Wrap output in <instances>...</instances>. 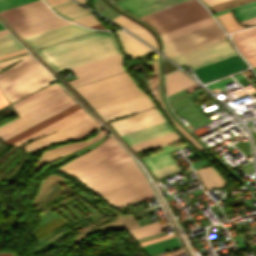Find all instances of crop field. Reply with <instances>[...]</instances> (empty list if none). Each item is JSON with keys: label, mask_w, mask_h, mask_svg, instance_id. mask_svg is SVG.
<instances>
[{"label": "crop field", "mask_w": 256, "mask_h": 256, "mask_svg": "<svg viewBox=\"0 0 256 256\" xmlns=\"http://www.w3.org/2000/svg\"><path fill=\"white\" fill-rule=\"evenodd\" d=\"M75 177L119 208L153 196L130 156Z\"/></svg>", "instance_id": "crop-field-1"}, {"label": "crop field", "mask_w": 256, "mask_h": 256, "mask_svg": "<svg viewBox=\"0 0 256 256\" xmlns=\"http://www.w3.org/2000/svg\"><path fill=\"white\" fill-rule=\"evenodd\" d=\"M126 156H129V154L110 136L94 150L56 170L74 176Z\"/></svg>", "instance_id": "crop-field-8"}, {"label": "crop field", "mask_w": 256, "mask_h": 256, "mask_svg": "<svg viewBox=\"0 0 256 256\" xmlns=\"http://www.w3.org/2000/svg\"><path fill=\"white\" fill-rule=\"evenodd\" d=\"M85 199L86 202L91 203L89 200L92 199L89 195L83 197ZM79 204L81 206H83L84 208H86L88 211H90L91 213L96 211L94 209H92L90 206H88L86 203H84L80 198L77 199ZM72 204H74L76 207H78L82 212H84L86 215L88 214L84 209H82L75 201L72 202ZM96 206L98 209L103 208L99 203L94 205ZM65 207H67L69 209V211L77 218H81L83 217V215H81L79 212H77L70 204L65 205ZM57 211H59L64 217H66L67 219L74 221V219L70 216V214L63 210L62 208L58 209Z\"/></svg>", "instance_id": "crop-field-28"}, {"label": "crop field", "mask_w": 256, "mask_h": 256, "mask_svg": "<svg viewBox=\"0 0 256 256\" xmlns=\"http://www.w3.org/2000/svg\"><path fill=\"white\" fill-rule=\"evenodd\" d=\"M112 21H114L115 23L119 24L120 26L128 29L129 31L135 33L136 35H138L139 37H141L142 39L147 41L149 44L154 46L156 49H158L155 38L146 29L137 25L133 21L127 19L126 17H124L122 15Z\"/></svg>", "instance_id": "crop-field-24"}, {"label": "crop field", "mask_w": 256, "mask_h": 256, "mask_svg": "<svg viewBox=\"0 0 256 256\" xmlns=\"http://www.w3.org/2000/svg\"><path fill=\"white\" fill-rule=\"evenodd\" d=\"M88 224H89L88 222H84V223L80 224L79 226H77V227H75L73 229L77 230V229L82 228V227H84V226H86Z\"/></svg>", "instance_id": "crop-field-49"}, {"label": "crop field", "mask_w": 256, "mask_h": 256, "mask_svg": "<svg viewBox=\"0 0 256 256\" xmlns=\"http://www.w3.org/2000/svg\"><path fill=\"white\" fill-rule=\"evenodd\" d=\"M33 0H0V11L21 5Z\"/></svg>", "instance_id": "crop-field-35"}, {"label": "crop field", "mask_w": 256, "mask_h": 256, "mask_svg": "<svg viewBox=\"0 0 256 256\" xmlns=\"http://www.w3.org/2000/svg\"><path fill=\"white\" fill-rule=\"evenodd\" d=\"M126 56L132 60L151 50L132 36L116 31Z\"/></svg>", "instance_id": "crop-field-21"}, {"label": "crop field", "mask_w": 256, "mask_h": 256, "mask_svg": "<svg viewBox=\"0 0 256 256\" xmlns=\"http://www.w3.org/2000/svg\"><path fill=\"white\" fill-rule=\"evenodd\" d=\"M112 219H114V218H113V217H110V218H108V219H106V220H101V221H99V222L96 223V224H97V226H99V225H101V224H103V223H105V222H107V221L112 220Z\"/></svg>", "instance_id": "crop-field-47"}, {"label": "crop field", "mask_w": 256, "mask_h": 256, "mask_svg": "<svg viewBox=\"0 0 256 256\" xmlns=\"http://www.w3.org/2000/svg\"><path fill=\"white\" fill-rule=\"evenodd\" d=\"M8 149V147H4L0 150V157L3 155V153Z\"/></svg>", "instance_id": "crop-field-50"}, {"label": "crop field", "mask_w": 256, "mask_h": 256, "mask_svg": "<svg viewBox=\"0 0 256 256\" xmlns=\"http://www.w3.org/2000/svg\"><path fill=\"white\" fill-rule=\"evenodd\" d=\"M207 17H210L207 10L196 0H190L141 19L150 23L161 34Z\"/></svg>", "instance_id": "crop-field-7"}, {"label": "crop field", "mask_w": 256, "mask_h": 256, "mask_svg": "<svg viewBox=\"0 0 256 256\" xmlns=\"http://www.w3.org/2000/svg\"><path fill=\"white\" fill-rule=\"evenodd\" d=\"M236 55L227 37L175 55L172 58L180 66L189 64L192 70Z\"/></svg>", "instance_id": "crop-field-9"}, {"label": "crop field", "mask_w": 256, "mask_h": 256, "mask_svg": "<svg viewBox=\"0 0 256 256\" xmlns=\"http://www.w3.org/2000/svg\"><path fill=\"white\" fill-rule=\"evenodd\" d=\"M62 89L56 82L50 84L49 86L31 94L30 96L12 104V107L15 109V111H19L37 101L40 99Z\"/></svg>", "instance_id": "crop-field-22"}, {"label": "crop field", "mask_w": 256, "mask_h": 256, "mask_svg": "<svg viewBox=\"0 0 256 256\" xmlns=\"http://www.w3.org/2000/svg\"><path fill=\"white\" fill-rule=\"evenodd\" d=\"M225 37L216 23L164 41L165 55L170 57Z\"/></svg>", "instance_id": "crop-field-11"}, {"label": "crop field", "mask_w": 256, "mask_h": 256, "mask_svg": "<svg viewBox=\"0 0 256 256\" xmlns=\"http://www.w3.org/2000/svg\"><path fill=\"white\" fill-rule=\"evenodd\" d=\"M87 218H88V217H83V218H81V219H79L78 221H76V222H74V223L68 225L67 227H65V228H63V229L66 230V229H68V228L74 226V225L77 224V223H80V222H83V221L87 220Z\"/></svg>", "instance_id": "crop-field-44"}, {"label": "crop field", "mask_w": 256, "mask_h": 256, "mask_svg": "<svg viewBox=\"0 0 256 256\" xmlns=\"http://www.w3.org/2000/svg\"><path fill=\"white\" fill-rule=\"evenodd\" d=\"M67 224H68V222L65 219L59 217L41 227H39L36 231H34L33 236H34V238L38 239V238L45 236V235L65 226Z\"/></svg>", "instance_id": "crop-field-30"}, {"label": "crop field", "mask_w": 256, "mask_h": 256, "mask_svg": "<svg viewBox=\"0 0 256 256\" xmlns=\"http://www.w3.org/2000/svg\"><path fill=\"white\" fill-rule=\"evenodd\" d=\"M79 108H81V107L77 104V105H75V106H73V107H71V108H69V109H67V110H65V111H63V112H61V113H59V114H57V115H55V116L45 120L43 122H41L40 124H38V125L30 128V129L22 132V133H20V134H18L16 136H14V137L4 141V142H6V143L11 145L12 143H14V142H16V141H18V140L28 136L29 134H31V133H33V132H35V131L43 128V127H45L46 125H48V124H50V123H52V122H54V121L64 117L65 115H67V114H69V113H71V112H73V111H75V110H77Z\"/></svg>", "instance_id": "crop-field-27"}, {"label": "crop field", "mask_w": 256, "mask_h": 256, "mask_svg": "<svg viewBox=\"0 0 256 256\" xmlns=\"http://www.w3.org/2000/svg\"><path fill=\"white\" fill-rule=\"evenodd\" d=\"M170 132H173V130L166 122H164L138 131L121 135V137L129 146H131Z\"/></svg>", "instance_id": "crop-field-18"}, {"label": "crop field", "mask_w": 256, "mask_h": 256, "mask_svg": "<svg viewBox=\"0 0 256 256\" xmlns=\"http://www.w3.org/2000/svg\"><path fill=\"white\" fill-rule=\"evenodd\" d=\"M70 232H71V231L68 230V231H66V232H64V233H62V234H60V235H58V236H56V237H57V239H59V238L65 236V235H67V234L70 233ZM46 244L48 245L49 248H51V247L56 246V241H55V239L53 238V239L49 240L48 242H46ZM40 248H41V249H44L45 247H44V245L42 244V245L40 246Z\"/></svg>", "instance_id": "crop-field-38"}, {"label": "crop field", "mask_w": 256, "mask_h": 256, "mask_svg": "<svg viewBox=\"0 0 256 256\" xmlns=\"http://www.w3.org/2000/svg\"><path fill=\"white\" fill-rule=\"evenodd\" d=\"M255 72H256V70H255Z\"/></svg>", "instance_id": "crop-field-56"}, {"label": "crop field", "mask_w": 256, "mask_h": 256, "mask_svg": "<svg viewBox=\"0 0 256 256\" xmlns=\"http://www.w3.org/2000/svg\"><path fill=\"white\" fill-rule=\"evenodd\" d=\"M75 89L95 110L144 95L126 72L78 86Z\"/></svg>", "instance_id": "crop-field-5"}, {"label": "crop field", "mask_w": 256, "mask_h": 256, "mask_svg": "<svg viewBox=\"0 0 256 256\" xmlns=\"http://www.w3.org/2000/svg\"><path fill=\"white\" fill-rule=\"evenodd\" d=\"M98 126L99 124L88 115L49 136L30 142L23 149L35 153L42 148L67 140L84 138L97 131Z\"/></svg>", "instance_id": "crop-field-10"}, {"label": "crop field", "mask_w": 256, "mask_h": 256, "mask_svg": "<svg viewBox=\"0 0 256 256\" xmlns=\"http://www.w3.org/2000/svg\"><path fill=\"white\" fill-rule=\"evenodd\" d=\"M248 61L252 64L253 67L256 66V57L252 58V59H249Z\"/></svg>", "instance_id": "crop-field-48"}, {"label": "crop field", "mask_w": 256, "mask_h": 256, "mask_svg": "<svg viewBox=\"0 0 256 256\" xmlns=\"http://www.w3.org/2000/svg\"><path fill=\"white\" fill-rule=\"evenodd\" d=\"M232 38L247 59L256 56V27L232 34Z\"/></svg>", "instance_id": "crop-field-19"}, {"label": "crop field", "mask_w": 256, "mask_h": 256, "mask_svg": "<svg viewBox=\"0 0 256 256\" xmlns=\"http://www.w3.org/2000/svg\"><path fill=\"white\" fill-rule=\"evenodd\" d=\"M233 9H235L234 13L236 14L237 18L240 21L256 16V2H252V3L246 4V5H242V6L233 8ZM233 9H229V10H226V11H223V12L216 13V15L231 11Z\"/></svg>", "instance_id": "crop-field-31"}, {"label": "crop field", "mask_w": 256, "mask_h": 256, "mask_svg": "<svg viewBox=\"0 0 256 256\" xmlns=\"http://www.w3.org/2000/svg\"><path fill=\"white\" fill-rule=\"evenodd\" d=\"M73 21H76V22H78L80 24L87 25V26H92V25L100 24V22H98L93 17V15L87 16V17H84V18H80V19H77V20H73Z\"/></svg>", "instance_id": "crop-field-37"}, {"label": "crop field", "mask_w": 256, "mask_h": 256, "mask_svg": "<svg viewBox=\"0 0 256 256\" xmlns=\"http://www.w3.org/2000/svg\"><path fill=\"white\" fill-rule=\"evenodd\" d=\"M4 173L0 174V176H2Z\"/></svg>", "instance_id": "crop-field-55"}, {"label": "crop field", "mask_w": 256, "mask_h": 256, "mask_svg": "<svg viewBox=\"0 0 256 256\" xmlns=\"http://www.w3.org/2000/svg\"><path fill=\"white\" fill-rule=\"evenodd\" d=\"M214 22H215V21L213 20V18L210 17V18L204 19V20H202V21H199V22H196V23L187 25V26H185V27H182V28H179V29L170 31V32H168V33L162 34L161 37H162V39H163V41H164V40H167V39H169V38H172V37L181 35V34H183V33H186V32L192 31V30H195V29H197V28H200V27L209 25V24L214 23Z\"/></svg>", "instance_id": "crop-field-29"}, {"label": "crop field", "mask_w": 256, "mask_h": 256, "mask_svg": "<svg viewBox=\"0 0 256 256\" xmlns=\"http://www.w3.org/2000/svg\"><path fill=\"white\" fill-rule=\"evenodd\" d=\"M50 6L55 5V4H59L65 1H69V0H46Z\"/></svg>", "instance_id": "crop-field-42"}, {"label": "crop field", "mask_w": 256, "mask_h": 256, "mask_svg": "<svg viewBox=\"0 0 256 256\" xmlns=\"http://www.w3.org/2000/svg\"><path fill=\"white\" fill-rule=\"evenodd\" d=\"M119 63V64H117ZM122 55L116 54L81 66L71 68L78 79L69 81L75 87L117 73L124 72L121 68Z\"/></svg>", "instance_id": "crop-field-12"}, {"label": "crop field", "mask_w": 256, "mask_h": 256, "mask_svg": "<svg viewBox=\"0 0 256 256\" xmlns=\"http://www.w3.org/2000/svg\"><path fill=\"white\" fill-rule=\"evenodd\" d=\"M193 83L195 82L192 79H190L180 71H175L173 73L167 74L166 75L167 96Z\"/></svg>", "instance_id": "crop-field-23"}, {"label": "crop field", "mask_w": 256, "mask_h": 256, "mask_svg": "<svg viewBox=\"0 0 256 256\" xmlns=\"http://www.w3.org/2000/svg\"><path fill=\"white\" fill-rule=\"evenodd\" d=\"M24 49V47L11 35L0 37V55Z\"/></svg>", "instance_id": "crop-field-32"}, {"label": "crop field", "mask_w": 256, "mask_h": 256, "mask_svg": "<svg viewBox=\"0 0 256 256\" xmlns=\"http://www.w3.org/2000/svg\"><path fill=\"white\" fill-rule=\"evenodd\" d=\"M0 15L23 38L71 24L54 15L41 0L2 11Z\"/></svg>", "instance_id": "crop-field-4"}, {"label": "crop field", "mask_w": 256, "mask_h": 256, "mask_svg": "<svg viewBox=\"0 0 256 256\" xmlns=\"http://www.w3.org/2000/svg\"><path fill=\"white\" fill-rule=\"evenodd\" d=\"M184 147H188V145L185 144L167 151H163V152L142 158V160L145 162V164L150 170L159 168V167L174 163V160L172 159V157L168 152L174 151L180 148H184Z\"/></svg>", "instance_id": "crop-field-26"}, {"label": "crop field", "mask_w": 256, "mask_h": 256, "mask_svg": "<svg viewBox=\"0 0 256 256\" xmlns=\"http://www.w3.org/2000/svg\"><path fill=\"white\" fill-rule=\"evenodd\" d=\"M86 115L88 114L81 108L13 145H16L19 147L20 145L24 144L25 142H27L28 140L34 137L51 134Z\"/></svg>", "instance_id": "crop-field-20"}, {"label": "crop field", "mask_w": 256, "mask_h": 256, "mask_svg": "<svg viewBox=\"0 0 256 256\" xmlns=\"http://www.w3.org/2000/svg\"><path fill=\"white\" fill-rule=\"evenodd\" d=\"M175 236H176L175 233L169 234V235H166V236H163V237H159V238H156V239H153V240H149V241H146V242H143V243H139V246L144 245V244H148V243H151V242H155V241L175 237Z\"/></svg>", "instance_id": "crop-field-39"}, {"label": "crop field", "mask_w": 256, "mask_h": 256, "mask_svg": "<svg viewBox=\"0 0 256 256\" xmlns=\"http://www.w3.org/2000/svg\"><path fill=\"white\" fill-rule=\"evenodd\" d=\"M37 52L57 71L119 53L111 34L94 33Z\"/></svg>", "instance_id": "crop-field-2"}, {"label": "crop field", "mask_w": 256, "mask_h": 256, "mask_svg": "<svg viewBox=\"0 0 256 256\" xmlns=\"http://www.w3.org/2000/svg\"><path fill=\"white\" fill-rule=\"evenodd\" d=\"M25 51H26V49H24V50H20V51H16V52H13V53H9V54H5V55L0 56V59H2V58H6V57H10V56H13V55H16V54H19V53L25 52Z\"/></svg>", "instance_id": "crop-field-40"}, {"label": "crop field", "mask_w": 256, "mask_h": 256, "mask_svg": "<svg viewBox=\"0 0 256 256\" xmlns=\"http://www.w3.org/2000/svg\"><path fill=\"white\" fill-rule=\"evenodd\" d=\"M242 23L247 24L249 26L254 25V24H256V17L252 18V19H249V20L242 21Z\"/></svg>", "instance_id": "crop-field-41"}, {"label": "crop field", "mask_w": 256, "mask_h": 256, "mask_svg": "<svg viewBox=\"0 0 256 256\" xmlns=\"http://www.w3.org/2000/svg\"><path fill=\"white\" fill-rule=\"evenodd\" d=\"M177 163L152 171L157 179L179 170Z\"/></svg>", "instance_id": "crop-field-34"}, {"label": "crop field", "mask_w": 256, "mask_h": 256, "mask_svg": "<svg viewBox=\"0 0 256 256\" xmlns=\"http://www.w3.org/2000/svg\"><path fill=\"white\" fill-rule=\"evenodd\" d=\"M164 122L156 108L135 114L129 118L110 122L115 131L121 135L147 126Z\"/></svg>", "instance_id": "crop-field-14"}, {"label": "crop field", "mask_w": 256, "mask_h": 256, "mask_svg": "<svg viewBox=\"0 0 256 256\" xmlns=\"http://www.w3.org/2000/svg\"><path fill=\"white\" fill-rule=\"evenodd\" d=\"M59 199H61L59 196L56 197V198H54V199H52V200L49 201L47 204H45V205H43L42 207L38 208V209H37V212L40 211L41 209L45 208V207L48 206L49 204H51V203H53V202L59 200ZM49 206H50V205H49Z\"/></svg>", "instance_id": "crop-field-43"}, {"label": "crop field", "mask_w": 256, "mask_h": 256, "mask_svg": "<svg viewBox=\"0 0 256 256\" xmlns=\"http://www.w3.org/2000/svg\"><path fill=\"white\" fill-rule=\"evenodd\" d=\"M78 1H80V2H82V3H86V1H85V0H78Z\"/></svg>", "instance_id": "crop-field-53"}, {"label": "crop field", "mask_w": 256, "mask_h": 256, "mask_svg": "<svg viewBox=\"0 0 256 256\" xmlns=\"http://www.w3.org/2000/svg\"><path fill=\"white\" fill-rule=\"evenodd\" d=\"M5 34H9V32H7L6 30L0 31V36H1V35H5Z\"/></svg>", "instance_id": "crop-field-52"}, {"label": "crop field", "mask_w": 256, "mask_h": 256, "mask_svg": "<svg viewBox=\"0 0 256 256\" xmlns=\"http://www.w3.org/2000/svg\"><path fill=\"white\" fill-rule=\"evenodd\" d=\"M105 135V133H103L102 131H100L95 137L87 140V141H82V142H75V143H69V144H65V145H61V146H58L54 149H51V150H48L44 153H42V155L40 156L37 164L34 166L33 170L35 171H39L40 168L56 159V158H59L61 156H64V155H67L69 153H72L76 150H80L92 143H95L96 141H98L101 137H103Z\"/></svg>", "instance_id": "crop-field-17"}, {"label": "crop field", "mask_w": 256, "mask_h": 256, "mask_svg": "<svg viewBox=\"0 0 256 256\" xmlns=\"http://www.w3.org/2000/svg\"><path fill=\"white\" fill-rule=\"evenodd\" d=\"M6 104H8V103L0 92V107L4 106Z\"/></svg>", "instance_id": "crop-field-45"}, {"label": "crop field", "mask_w": 256, "mask_h": 256, "mask_svg": "<svg viewBox=\"0 0 256 256\" xmlns=\"http://www.w3.org/2000/svg\"><path fill=\"white\" fill-rule=\"evenodd\" d=\"M75 104L62 89L17 112L20 118L0 127V139L4 141Z\"/></svg>", "instance_id": "crop-field-6"}, {"label": "crop field", "mask_w": 256, "mask_h": 256, "mask_svg": "<svg viewBox=\"0 0 256 256\" xmlns=\"http://www.w3.org/2000/svg\"><path fill=\"white\" fill-rule=\"evenodd\" d=\"M203 1L206 2L208 5H210V4H214V3L224 1V0H203Z\"/></svg>", "instance_id": "crop-field-46"}, {"label": "crop field", "mask_w": 256, "mask_h": 256, "mask_svg": "<svg viewBox=\"0 0 256 256\" xmlns=\"http://www.w3.org/2000/svg\"><path fill=\"white\" fill-rule=\"evenodd\" d=\"M185 1L187 0H122L117 4L142 17Z\"/></svg>", "instance_id": "crop-field-16"}, {"label": "crop field", "mask_w": 256, "mask_h": 256, "mask_svg": "<svg viewBox=\"0 0 256 256\" xmlns=\"http://www.w3.org/2000/svg\"><path fill=\"white\" fill-rule=\"evenodd\" d=\"M5 28L3 26L0 25V30H4Z\"/></svg>", "instance_id": "crop-field-54"}, {"label": "crop field", "mask_w": 256, "mask_h": 256, "mask_svg": "<svg viewBox=\"0 0 256 256\" xmlns=\"http://www.w3.org/2000/svg\"><path fill=\"white\" fill-rule=\"evenodd\" d=\"M22 57L23 60L0 73V88L10 104L56 81L31 54ZM18 58L0 62V70Z\"/></svg>", "instance_id": "crop-field-3"}, {"label": "crop field", "mask_w": 256, "mask_h": 256, "mask_svg": "<svg viewBox=\"0 0 256 256\" xmlns=\"http://www.w3.org/2000/svg\"><path fill=\"white\" fill-rule=\"evenodd\" d=\"M52 8L59 14L66 16L68 19L73 20L80 17H84L87 15H91L92 13L83 9L76 3L69 1L66 3H62L56 6H52Z\"/></svg>", "instance_id": "crop-field-25"}, {"label": "crop field", "mask_w": 256, "mask_h": 256, "mask_svg": "<svg viewBox=\"0 0 256 256\" xmlns=\"http://www.w3.org/2000/svg\"><path fill=\"white\" fill-rule=\"evenodd\" d=\"M218 18L229 32L243 28L236 23L231 12L219 15Z\"/></svg>", "instance_id": "crop-field-33"}, {"label": "crop field", "mask_w": 256, "mask_h": 256, "mask_svg": "<svg viewBox=\"0 0 256 256\" xmlns=\"http://www.w3.org/2000/svg\"><path fill=\"white\" fill-rule=\"evenodd\" d=\"M240 78H243V76H242L241 74H237V75H235V76H232V77L223 79V80H221V81L215 82V83H213V84L207 85V87H209L210 89H212V88L218 87V86H220V85H223V84H226V83L235 81V80L240 79Z\"/></svg>", "instance_id": "crop-field-36"}, {"label": "crop field", "mask_w": 256, "mask_h": 256, "mask_svg": "<svg viewBox=\"0 0 256 256\" xmlns=\"http://www.w3.org/2000/svg\"><path fill=\"white\" fill-rule=\"evenodd\" d=\"M151 107H154L153 103L149 100V98L146 95H144L110 107L97 110L96 112L100 116H102L106 121H108Z\"/></svg>", "instance_id": "crop-field-15"}, {"label": "crop field", "mask_w": 256, "mask_h": 256, "mask_svg": "<svg viewBox=\"0 0 256 256\" xmlns=\"http://www.w3.org/2000/svg\"><path fill=\"white\" fill-rule=\"evenodd\" d=\"M95 32L77 25L71 24L45 33H41L32 37L25 38V40L34 48H40L53 43L78 37L84 34Z\"/></svg>", "instance_id": "crop-field-13"}, {"label": "crop field", "mask_w": 256, "mask_h": 256, "mask_svg": "<svg viewBox=\"0 0 256 256\" xmlns=\"http://www.w3.org/2000/svg\"><path fill=\"white\" fill-rule=\"evenodd\" d=\"M0 256H15V255H13L11 253H2V254H0Z\"/></svg>", "instance_id": "crop-field-51"}]
</instances>
